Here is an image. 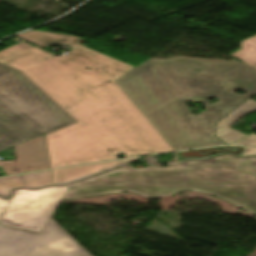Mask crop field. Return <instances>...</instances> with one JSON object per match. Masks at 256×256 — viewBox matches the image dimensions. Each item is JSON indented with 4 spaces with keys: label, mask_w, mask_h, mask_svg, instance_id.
I'll return each mask as SVG.
<instances>
[{
    "label": "crop field",
    "mask_w": 256,
    "mask_h": 256,
    "mask_svg": "<svg viewBox=\"0 0 256 256\" xmlns=\"http://www.w3.org/2000/svg\"><path fill=\"white\" fill-rule=\"evenodd\" d=\"M16 36L41 48L72 46L63 57L24 42L0 51V63L20 70L77 121L45 135L51 168L173 150L115 82L133 67L79 45L84 39L76 36Z\"/></svg>",
    "instance_id": "1"
},
{
    "label": "crop field",
    "mask_w": 256,
    "mask_h": 256,
    "mask_svg": "<svg viewBox=\"0 0 256 256\" xmlns=\"http://www.w3.org/2000/svg\"><path fill=\"white\" fill-rule=\"evenodd\" d=\"M116 82L174 150H181L220 145L201 122L213 134L216 120L256 93V68L237 61L148 59ZM238 88L247 94L231 93ZM211 97H217V103L210 104ZM185 101L204 102L205 111L197 114L201 122Z\"/></svg>",
    "instance_id": "2"
},
{
    "label": "crop field",
    "mask_w": 256,
    "mask_h": 256,
    "mask_svg": "<svg viewBox=\"0 0 256 256\" xmlns=\"http://www.w3.org/2000/svg\"><path fill=\"white\" fill-rule=\"evenodd\" d=\"M183 189L223 198L256 216V159L223 155L166 168L134 169L129 165L71 184L63 199L119 192L154 199Z\"/></svg>",
    "instance_id": "3"
},
{
    "label": "crop field",
    "mask_w": 256,
    "mask_h": 256,
    "mask_svg": "<svg viewBox=\"0 0 256 256\" xmlns=\"http://www.w3.org/2000/svg\"><path fill=\"white\" fill-rule=\"evenodd\" d=\"M75 122L20 71L0 64V151Z\"/></svg>",
    "instance_id": "4"
},
{
    "label": "crop field",
    "mask_w": 256,
    "mask_h": 256,
    "mask_svg": "<svg viewBox=\"0 0 256 256\" xmlns=\"http://www.w3.org/2000/svg\"><path fill=\"white\" fill-rule=\"evenodd\" d=\"M0 256H91L53 219L39 232L0 225Z\"/></svg>",
    "instance_id": "5"
},
{
    "label": "crop field",
    "mask_w": 256,
    "mask_h": 256,
    "mask_svg": "<svg viewBox=\"0 0 256 256\" xmlns=\"http://www.w3.org/2000/svg\"><path fill=\"white\" fill-rule=\"evenodd\" d=\"M68 186L37 191L16 190L0 224L39 232L51 218ZM7 203L0 198V216Z\"/></svg>",
    "instance_id": "6"
},
{
    "label": "crop field",
    "mask_w": 256,
    "mask_h": 256,
    "mask_svg": "<svg viewBox=\"0 0 256 256\" xmlns=\"http://www.w3.org/2000/svg\"><path fill=\"white\" fill-rule=\"evenodd\" d=\"M15 161L1 162L7 175L50 169L44 135L14 147Z\"/></svg>",
    "instance_id": "7"
},
{
    "label": "crop field",
    "mask_w": 256,
    "mask_h": 256,
    "mask_svg": "<svg viewBox=\"0 0 256 256\" xmlns=\"http://www.w3.org/2000/svg\"><path fill=\"white\" fill-rule=\"evenodd\" d=\"M141 158L126 159L115 162L101 163L95 165L67 168L51 171L53 185L68 184L73 181L89 177L111 168L122 166L130 161H135Z\"/></svg>",
    "instance_id": "8"
},
{
    "label": "crop field",
    "mask_w": 256,
    "mask_h": 256,
    "mask_svg": "<svg viewBox=\"0 0 256 256\" xmlns=\"http://www.w3.org/2000/svg\"><path fill=\"white\" fill-rule=\"evenodd\" d=\"M52 185L50 171L0 178V196L9 197L14 188H39Z\"/></svg>",
    "instance_id": "9"
},
{
    "label": "crop field",
    "mask_w": 256,
    "mask_h": 256,
    "mask_svg": "<svg viewBox=\"0 0 256 256\" xmlns=\"http://www.w3.org/2000/svg\"><path fill=\"white\" fill-rule=\"evenodd\" d=\"M256 95V94H255ZM256 110V102L252 100H247L246 102L242 103L239 107H237L233 112H231L226 117L222 118L221 120L217 121V128L215 135L220 140H222L226 144H232L237 140L243 138L246 135H243L231 128L230 125L244 116L245 114Z\"/></svg>",
    "instance_id": "10"
},
{
    "label": "crop field",
    "mask_w": 256,
    "mask_h": 256,
    "mask_svg": "<svg viewBox=\"0 0 256 256\" xmlns=\"http://www.w3.org/2000/svg\"><path fill=\"white\" fill-rule=\"evenodd\" d=\"M229 56L256 67V35L240 41V48Z\"/></svg>",
    "instance_id": "11"
},
{
    "label": "crop field",
    "mask_w": 256,
    "mask_h": 256,
    "mask_svg": "<svg viewBox=\"0 0 256 256\" xmlns=\"http://www.w3.org/2000/svg\"><path fill=\"white\" fill-rule=\"evenodd\" d=\"M235 145H242V146H256V135L253 134L247 139L235 144Z\"/></svg>",
    "instance_id": "12"
},
{
    "label": "crop field",
    "mask_w": 256,
    "mask_h": 256,
    "mask_svg": "<svg viewBox=\"0 0 256 256\" xmlns=\"http://www.w3.org/2000/svg\"><path fill=\"white\" fill-rule=\"evenodd\" d=\"M245 155L256 156V148H246L242 156H245Z\"/></svg>",
    "instance_id": "13"
},
{
    "label": "crop field",
    "mask_w": 256,
    "mask_h": 256,
    "mask_svg": "<svg viewBox=\"0 0 256 256\" xmlns=\"http://www.w3.org/2000/svg\"><path fill=\"white\" fill-rule=\"evenodd\" d=\"M122 256V255H121Z\"/></svg>",
    "instance_id": "14"
}]
</instances>
